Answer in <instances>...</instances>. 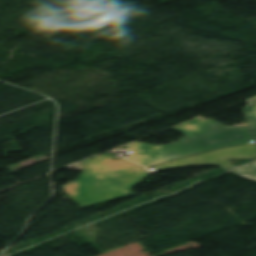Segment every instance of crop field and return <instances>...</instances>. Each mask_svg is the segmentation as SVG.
Segmentation results:
<instances>
[{"instance_id":"obj_1","label":"crop field","mask_w":256,"mask_h":256,"mask_svg":"<svg viewBox=\"0 0 256 256\" xmlns=\"http://www.w3.org/2000/svg\"><path fill=\"white\" fill-rule=\"evenodd\" d=\"M249 105L244 107L247 127H225L213 120H194L175 127L187 137L168 145H153L137 142L123 146L134 153L128 160L149 166L207 150L256 142V98L249 100Z\"/></svg>"},{"instance_id":"obj_2","label":"crop field","mask_w":256,"mask_h":256,"mask_svg":"<svg viewBox=\"0 0 256 256\" xmlns=\"http://www.w3.org/2000/svg\"><path fill=\"white\" fill-rule=\"evenodd\" d=\"M80 165L87 171L63 188L82 208L132 195L130 188L148 176L145 167L124 159L115 160L106 154Z\"/></svg>"},{"instance_id":"obj_3","label":"crop field","mask_w":256,"mask_h":256,"mask_svg":"<svg viewBox=\"0 0 256 256\" xmlns=\"http://www.w3.org/2000/svg\"><path fill=\"white\" fill-rule=\"evenodd\" d=\"M248 157H256V144L226 147L216 151L155 166L154 168L157 171H167L181 167L209 166L219 164L223 169H230L233 168V166L228 161L229 158Z\"/></svg>"},{"instance_id":"obj_4","label":"crop field","mask_w":256,"mask_h":256,"mask_svg":"<svg viewBox=\"0 0 256 256\" xmlns=\"http://www.w3.org/2000/svg\"><path fill=\"white\" fill-rule=\"evenodd\" d=\"M230 172L256 181V162L248 164L244 167L236 168Z\"/></svg>"},{"instance_id":"obj_5","label":"crop field","mask_w":256,"mask_h":256,"mask_svg":"<svg viewBox=\"0 0 256 256\" xmlns=\"http://www.w3.org/2000/svg\"><path fill=\"white\" fill-rule=\"evenodd\" d=\"M252 21L256 22V19H254V20H252Z\"/></svg>"}]
</instances>
